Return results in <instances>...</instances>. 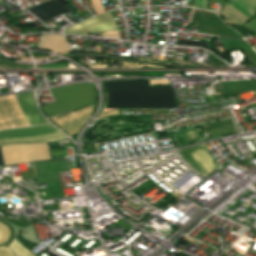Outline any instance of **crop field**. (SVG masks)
<instances>
[{
	"instance_id": "8a807250",
	"label": "crop field",
	"mask_w": 256,
	"mask_h": 256,
	"mask_svg": "<svg viewBox=\"0 0 256 256\" xmlns=\"http://www.w3.org/2000/svg\"><path fill=\"white\" fill-rule=\"evenodd\" d=\"M108 93L106 108H177L172 87H149L147 80L103 83Z\"/></svg>"
},
{
	"instance_id": "ac0d7876",
	"label": "crop field",
	"mask_w": 256,
	"mask_h": 256,
	"mask_svg": "<svg viewBox=\"0 0 256 256\" xmlns=\"http://www.w3.org/2000/svg\"><path fill=\"white\" fill-rule=\"evenodd\" d=\"M56 103L42 106L47 117L95 102L92 84H78L50 90Z\"/></svg>"
},
{
	"instance_id": "34b2d1b8",
	"label": "crop field",
	"mask_w": 256,
	"mask_h": 256,
	"mask_svg": "<svg viewBox=\"0 0 256 256\" xmlns=\"http://www.w3.org/2000/svg\"><path fill=\"white\" fill-rule=\"evenodd\" d=\"M1 151L5 164L50 159L46 143L5 145Z\"/></svg>"
},
{
	"instance_id": "412701ff",
	"label": "crop field",
	"mask_w": 256,
	"mask_h": 256,
	"mask_svg": "<svg viewBox=\"0 0 256 256\" xmlns=\"http://www.w3.org/2000/svg\"><path fill=\"white\" fill-rule=\"evenodd\" d=\"M178 153L188 165L204 176L218 167L204 144L180 149Z\"/></svg>"
},
{
	"instance_id": "f4fd0767",
	"label": "crop field",
	"mask_w": 256,
	"mask_h": 256,
	"mask_svg": "<svg viewBox=\"0 0 256 256\" xmlns=\"http://www.w3.org/2000/svg\"><path fill=\"white\" fill-rule=\"evenodd\" d=\"M243 6L256 11V0H234ZM229 0L228 4L222 9L221 13L226 17L228 24L242 25L246 20L252 18L255 12L243 7L242 5Z\"/></svg>"
},
{
	"instance_id": "dd49c442",
	"label": "crop field",
	"mask_w": 256,
	"mask_h": 256,
	"mask_svg": "<svg viewBox=\"0 0 256 256\" xmlns=\"http://www.w3.org/2000/svg\"><path fill=\"white\" fill-rule=\"evenodd\" d=\"M118 29L110 12L68 28L64 33L81 34L105 32Z\"/></svg>"
},
{
	"instance_id": "e52e79f7",
	"label": "crop field",
	"mask_w": 256,
	"mask_h": 256,
	"mask_svg": "<svg viewBox=\"0 0 256 256\" xmlns=\"http://www.w3.org/2000/svg\"><path fill=\"white\" fill-rule=\"evenodd\" d=\"M26 124L13 97L0 100V128Z\"/></svg>"
},
{
	"instance_id": "d8731c3e",
	"label": "crop field",
	"mask_w": 256,
	"mask_h": 256,
	"mask_svg": "<svg viewBox=\"0 0 256 256\" xmlns=\"http://www.w3.org/2000/svg\"><path fill=\"white\" fill-rule=\"evenodd\" d=\"M32 14L38 17L43 22L48 21L60 14L72 11L59 0H52L45 3L38 4L28 9Z\"/></svg>"
},
{
	"instance_id": "5a996713",
	"label": "crop field",
	"mask_w": 256,
	"mask_h": 256,
	"mask_svg": "<svg viewBox=\"0 0 256 256\" xmlns=\"http://www.w3.org/2000/svg\"><path fill=\"white\" fill-rule=\"evenodd\" d=\"M16 96L18 98L17 100H18L19 106L25 118L27 119L28 123L31 126L49 124L38 113L33 102L32 92L20 93V94H16Z\"/></svg>"
},
{
	"instance_id": "3316defc",
	"label": "crop field",
	"mask_w": 256,
	"mask_h": 256,
	"mask_svg": "<svg viewBox=\"0 0 256 256\" xmlns=\"http://www.w3.org/2000/svg\"><path fill=\"white\" fill-rule=\"evenodd\" d=\"M55 131L57 130L50 125L9 129V130L0 131V139L41 136V135L50 134Z\"/></svg>"
},
{
	"instance_id": "28ad6ade",
	"label": "crop field",
	"mask_w": 256,
	"mask_h": 256,
	"mask_svg": "<svg viewBox=\"0 0 256 256\" xmlns=\"http://www.w3.org/2000/svg\"><path fill=\"white\" fill-rule=\"evenodd\" d=\"M41 43L38 47L46 50L53 51L54 53L70 50L64 37L58 35H43L40 37Z\"/></svg>"
},
{
	"instance_id": "d1516ede",
	"label": "crop field",
	"mask_w": 256,
	"mask_h": 256,
	"mask_svg": "<svg viewBox=\"0 0 256 256\" xmlns=\"http://www.w3.org/2000/svg\"><path fill=\"white\" fill-rule=\"evenodd\" d=\"M92 108H93V105L90 106V107H87V108H85V109L79 110V111H77V112H74V113H72V114H69V115H67V116H64V117H61V118H59V119H56V120H54V122H55L56 124H58V123H60V122H62V121H65V120L70 119V118H72V117H74V116H77V115L82 114V113H84V112H86V111H89V110H91ZM91 111H92V110H91ZM91 111H89V112H87V113H84V114H82V115H79V116H77V117H75V118H72V119H70V120H67V121H65V122H63V123H60V124H58V125H59L60 127L64 128V127H66V126H68V125H71V124L77 122V121H80V120H82V119H85V118L89 117V116L91 115Z\"/></svg>"
},
{
	"instance_id": "22f410ed",
	"label": "crop field",
	"mask_w": 256,
	"mask_h": 256,
	"mask_svg": "<svg viewBox=\"0 0 256 256\" xmlns=\"http://www.w3.org/2000/svg\"><path fill=\"white\" fill-rule=\"evenodd\" d=\"M63 134L60 132L52 133L47 136L41 137H33V138H24V139H8V140H0V145L7 144V143H15V142H43V141H54L58 139H65Z\"/></svg>"
},
{
	"instance_id": "cbeb9de0",
	"label": "crop field",
	"mask_w": 256,
	"mask_h": 256,
	"mask_svg": "<svg viewBox=\"0 0 256 256\" xmlns=\"http://www.w3.org/2000/svg\"><path fill=\"white\" fill-rule=\"evenodd\" d=\"M10 248L14 256H34L15 240L10 244Z\"/></svg>"
},
{
	"instance_id": "5142ce71",
	"label": "crop field",
	"mask_w": 256,
	"mask_h": 256,
	"mask_svg": "<svg viewBox=\"0 0 256 256\" xmlns=\"http://www.w3.org/2000/svg\"><path fill=\"white\" fill-rule=\"evenodd\" d=\"M176 45L182 46H201L207 48V42L205 41H194V40H177Z\"/></svg>"
},
{
	"instance_id": "d9b57169",
	"label": "crop field",
	"mask_w": 256,
	"mask_h": 256,
	"mask_svg": "<svg viewBox=\"0 0 256 256\" xmlns=\"http://www.w3.org/2000/svg\"><path fill=\"white\" fill-rule=\"evenodd\" d=\"M10 237V229L4 224L0 223V244H4Z\"/></svg>"
},
{
	"instance_id": "733c2abd",
	"label": "crop field",
	"mask_w": 256,
	"mask_h": 256,
	"mask_svg": "<svg viewBox=\"0 0 256 256\" xmlns=\"http://www.w3.org/2000/svg\"><path fill=\"white\" fill-rule=\"evenodd\" d=\"M246 28L250 29L254 33H256V18L252 19L251 21L247 22L245 25Z\"/></svg>"
},
{
	"instance_id": "4a817a6b",
	"label": "crop field",
	"mask_w": 256,
	"mask_h": 256,
	"mask_svg": "<svg viewBox=\"0 0 256 256\" xmlns=\"http://www.w3.org/2000/svg\"><path fill=\"white\" fill-rule=\"evenodd\" d=\"M0 256H13L8 245H6L4 247H0Z\"/></svg>"
},
{
	"instance_id": "bc2a9ffb",
	"label": "crop field",
	"mask_w": 256,
	"mask_h": 256,
	"mask_svg": "<svg viewBox=\"0 0 256 256\" xmlns=\"http://www.w3.org/2000/svg\"><path fill=\"white\" fill-rule=\"evenodd\" d=\"M84 121L74 125V126H71L69 128H66L65 130L68 131L71 135H73L74 133H76V131L78 130V128L83 124Z\"/></svg>"
},
{
	"instance_id": "214f88e0",
	"label": "crop field",
	"mask_w": 256,
	"mask_h": 256,
	"mask_svg": "<svg viewBox=\"0 0 256 256\" xmlns=\"http://www.w3.org/2000/svg\"><path fill=\"white\" fill-rule=\"evenodd\" d=\"M103 37H115V38H120L118 30H117V31H113V32L103 33Z\"/></svg>"
},
{
	"instance_id": "92a150f3",
	"label": "crop field",
	"mask_w": 256,
	"mask_h": 256,
	"mask_svg": "<svg viewBox=\"0 0 256 256\" xmlns=\"http://www.w3.org/2000/svg\"><path fill=\"white\" fill-rule=\"evenodd\" d=\"M117 114H118V112H117V110H116V111L104 113V114L101 115L100 118H102V117H104V116L117 115Z\"/></svg>"
},
{
	"instance_id": "dafd665d",
	"label": "crop field",
	"mask_w": 256,
	"mask_h": 256,
	"mask_svg": "<svg viewBox=\"0 0 256 256\" xmlns=\"http://www.w3.org/2000/svg\"><path fill=\"white\" fill-rule=\"evenodd\" d=\"M0 165H4L2 155H1V151H0Z\"/></svg>"
},
{
	"instance_id": "00972430",
	"label": "crop field",
	"mask_w": 256,
	"mask_h": 256,
	"mask_svg": "<svg viewBox=\"0 0 256 256\" xmlns=\"http://www.w3.org/2000/svg\"><path fill=\"white\" fill-rule=\"evenodd\" d=\"M0 1H2V0H0Z\"/></svg>"
}]
</instances>
